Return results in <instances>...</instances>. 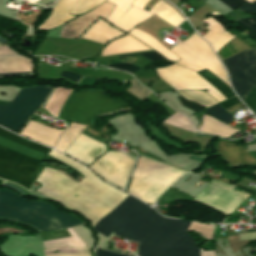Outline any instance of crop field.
Returning <instances> with one entry per match:
<instances>
[{
	"mask_svg": "<svg viewBox=\"0 0 256 256\" xmlns=\"http://www.w3.org/2000/svg\"><path fill=\"white\" fill-rule=\"evenodd\" d=\"M48 155L68 163L86 178L77 184L54 170L44 168L36 179L43 184L38 192L79 210L93 225L127 196L102 183L88 169L58 152L51 150Z\"/></svg>",
	"mask_w": 256,
	"mask_h": 256,
	"instance_id": "2",
	"label": "crop field"
},
{
	"mask_svg": "<svg viewBox=\"0 0 256 256\" xmlns=\"http://www.w3.org/2000/svg\"><path fill=\"white\" fill-rule=\"evenodd\" d=\"M204 22L210 25L207 28L210 32L206 33L203 37L212 45L216 53L223 45L234 38L230 36L225 29L211 17Z\"/></svg>",
	"mask_w": 256,
	"mask_h": 256,
	"instance_id": "19",
	"label": "crop field"
},
{
	"mask_svg": "<svg viewBox=\"0 0 256 256\" xmlns=\"http://www.w3.org/2000/svg\"><path fill=\"white\" fill-rule=\"evenodd\" d=\"M62 132L63 130L48 128L46 126L30 121L21 135L27 136L42 144L54 147L57 138Z\"/></svg>",
	"mask_w": 256,
	"mask_h": 256,
	"instance_id": "15",
	"label": "crop field"
},
{
	"mask_svg": "<svg viewBox=\"0 0 256 256\" xmlns=\"http://www.w3.org/2000/svg\"><path fill=\"white\" fill-rule=\"evenodd\" d=\"M217 152L225 158L230 165L255 164L256 161L241 146L236 147L231 141H219Z\"/></svg>",
	"mask_w": 256,
	"mask_h": 256,
	"instance_id": "14",
	"label": "crop field"
},
{
	"mask_svg": "<svg viewBox=\"0 0 256 256\" xmlns=\"http://www.w3.org/2000/svg\"><path fill=\"white\" fill-rule=\"evenodd\" d=\"M184 172L140 157L128 193L152 203Z\"/></svg>",
	"mask_w": 256,
	"mask_h": 256,
	"instance_id": "6",
	"label": "crop field"
},
{
	"mask_svg": "<svg viewBox=\"0 0 256 256\" xmlns=\"http://www.w3.org/2000/svg\"><path fill=\"white\" fill-rule=\"evenodd\" d=\"M221 2H223L225 5H227L228 7H230L231 9L235 10L237 8H239L241 5H243L244 3H246L247 1L253 3L256 0H220Z\"/></svg>",
	"mask_w": 256,
	"mask_h": 256,
	"instance_id": "34",
	"label": "crop field"
},
{
	"mask_svg": "<svg viewBox=\"0 0 256 256\" xmlns=\"http://www.w3.org/2000/svg\"><path fill=\"white\" fill-rule=\"evenodd\" d=\"M31 73V72H28ZM14 74H27V73H14ZM7 75H13V74H0V76H7Z\"/></svg>",
	"mask_w": 256,
	"mask_h": 256,
	"instance_id": "42",
	"label": "crop field"
},
{
	"mask_svg": "<svg viewBox=\"0 0 256 256\" xmlns=\"http://www.w3.org/2000/svg\"><path fill=\"white\" fill-rule=\"evenodd\" d=\"M213 229H214L213 225H206V224L192 222L188 230L198 232L204 235L207 239H211Z\"/></svg>",
	"mask_w": 256,
	"mask_h": 256,
	"instance_id": "31",
	"label": "crop field"
},
{
	"mask_svg": "<svg viewBox=\"0 0 256 256\" xmlns=\"http://www.w3.org/2000/svg\"><path fill=\"white\" fill-rule=\"evenodd\" d=\"M33 71L32 60L26 57H0V73Z\"/></svg>",
	"mask_w": 256,
	"mask_h": 256,
	"instance_id": "20",
	"label": "crop field"
},
{
	"mask_svg": "<svg viewBox=\"0 0 256 256\" xmlns=\"http://www.w3.org/2000/svg\"><path fill=\"white\" fill-rule=\"evenodd\" d=\"M151 50L144 44L127 35L111 42L103 51L101 56L114 55L125 52Z\"/></svg>",
	"mask_w": 256,
	"mask_h": 256,
	"instance_id": "18",
	"label": "crop field"
},
{
	"mask_svg": "<svg viewBox=\"0 0 256 256\" xmlns=\"http://www.w3.org/2000/svg\"><path fill=\"white\" fill-rule=\"evenodd\" d=\"M84 128L85 126L72 123L58 140L56 149L63 153Z\"/></svg>",
	"mask_w": 256,
	"mask_h": 256,
	"instance_id": "24",
	"label": "crop field"
},
{
	"mask_svg": "<svg viewBox=\"0 0 256 256\" xmlns=\"http://www.w3.org/2000/svg\"><path fill=\"white\" fill-rule=\"evenodd\" d=\"M202 119L203 122L199 129L201 132L212 133L226 138H228L231 134L239 132L205 114L203 115Z\"/></svg>",
	"mask_w": 256,
	"mask_h": 256,
	"instance_id": "21",
	"label": "crop field"
},
{
	"mask_svg": "<svg viewBox=\"0 0 256 256\" xmlns=\"http://www.w3.org/2000/svg\"><path fill=\"white\" fill-rule=\"evenodd\" d=\"M236 22L242 24L243 26L252 30L256 34V18L250 17V18L238 20Z\"/></svg>",
	"mask_w": 256,
	"mask_h": 256,
	"instance_id": "35",
	"label": "crop field"
},
{
	"mask_svg": "<svg viewBox=\"0 0 256 256\" xmlns=\"http://www.w3.org/2000/svg\"><path fill=\"white\" fill-rule=\"evenodd\" d=\"M201 77H203L205 80L209 81L212 86H214L216 89H218L223 96L228 99L234 94L232 91L228 88L226 84H224L220 79L215 77L212 73H210L207 69L197 72Z\"/></svg>",
	"mask_w": 256,
	"mask_h": 256,
	"instance_id": "25",
	"label": "crop field"
},
{
	"mask_svg": "<svg viewBox=\"0 0 256 256\" xmlns=\"http://www.w3.org/2000/svg\"><path fill=\"white\" fill-rule=\"evenodd\" d=\"M52 251H58V254H52ZM44 256H90L85 247L79 248H55L44 250Z\"/></svg>",
	"mask_w": 256,
	"mask_h": 256,
	"instance_id": "27",
	"label": "crop field"
},
{
	"mask_svg": "<svg viewBox=\"0 0 256 256\" xmlns=\"http://www.w3.org/2000/svg\"><path fill=\"white\" fill-rule=\"evenodd\" d=\"M135 0H108L117 5L113 13L106 18L109 22L128 32L136 24L144 21L153 14L142 10L134 5Z\"/></svg>",
	"mask_w": 256,
	"mask_h": 256,
	"instance_id": "11",
	"label": "crop field"
},
{
	"mask_svg": "<svg viewBox=\"0 0 256 256\" xmlns=\"http://www.w3.org/2000/svg\"><path fill=\"white\" fill-rule=\"evenodd\" d=\"M50 149L0 128V178L29 189Z\"/></svg>",
	"mask_w": 256,
	"mask_h": 256,
	"instance_id": "3",
	"label": "crop field"
},
{
	"mask_svg": "<svg viewBox=\"0 0 256 256\" xmlns=\"http://www.w3.org/2000/svg\"><path fill=\"white\" fill-rule=\"evenodd\" d=\"M244 103L249 107V109L255 113L256 111V89H252L250 94L245 99Z\"/></svg>",
	"mask_w": 256,
	"mask_h": 256,
	"instance_id": "33",
	"label": "crop field"
},
{
	"mask_svg": "<svg viewBox=\"0 0 256 256\" xmlns=\"http://www.w3.org/2000/svg\"><path fill=\"white\" fill-rule=\"evenodd\" d=\"M96 256H126V255L115 253V252H111V251H106V250H102V249L97 248Z\"/></svg>",
	"mask_w": 256,
	"mask_h": 256,
	"instance_id": "37",
	"label": "crop field"
},
{
	"mask_svg": "<svg viewBox=\"0 0 256 256\" xmlns=\"http://www.w3.org/2000/svg\"><path fill=\"white\" fill-rule=\"evenodd\" d=\"M150 0H136L134 2V5L140 7V8H144V6L149 2Z\"/></svg>",
	"mask_w": 256,
	"mask_h": 256,
	"instance_id": "41",
	"label": "crop field"
},
{
	"mask_svg": "<svg viewBox=\"0 0 256 256\" xmlns=\"http://www.w3.org/2000/svg\"><path fill=\"white\" fill-rule=\"evenodd\" d=\"M147 59L151 60L152 62L157 61V60H166L162 55H160L157 52H144V53H138ZM132 55H137V54H132ZM132 55H125V56H132Z\"/></svg>",
	"mask_w": 256,
	"mask_h": 256,
	"instance_id": "36",
	"label": "crop field"
},
{
	"mask_svg": "<svg viewBox=\"0 0 256 256\" xmlns=\"http://www.w3.org/2000/svg\"><path fill=\"white\" fill-rule=\"evenodd\" d=\"M165 123L183 128V129L193 132V133L195 132V129L189 123V121L186 119V117H184L183 115L178 114V113H176L175 115L170 117L167 121H165Z\"/></svg>",
	"mask_w": 256,
	"mask_h": 256,
	"instance_id": "28",
	"label": "crop field"
},
{
	"mask_svg": "<svg viewBox=\"0 0 256 256\" xmlns=\"http://www.w3.org/2000/svg\"><path fill=\"white\" fill-rule=\"evenodd\" d=\"M0 55H16L6 46H0Z\"/></svg>",
	"mask_w": 256,
	"mask_h": 256,
	"instance_id": "40",
	"label": "crop field"
},
{
	"mask_svg": "<svg viewBox=\"0 0 256 256\" xmlns=\"http://www.w3.org/2000/svg\"><path fill=\"white\" fill-rule=\"evenodd\" d=\"M130 34L138 38L139 40L143 41L156 51H158L160 54H162L164 57H166L168 60L171 61H177L180 58H178L176 55H174L172 52H170L168 49H166L164 46H162L159 42H157L152 36L146 34L145 32L137 29H133Z\"/></svg>",
	"mask_w": 256,
	"mask_h": 256,
	"instance_id": "22",
	"label": "crop field"
},
{
	"mask_svg": "<svg viewBox=\"0 0 256 256\" xmlns=\"http://www.w3.org/2000/svg\"><path fill=\"white\" fill-rule=\"evenodd\" d=\"M113 7L114 5L104 2L93 11L64 24L61 37L78 38L99 16L105 19L112 11Z\"/></svg>",
	"mask_w": 256,
	"mask_h": 256,
	"instance_id": "12",
	"label": "crop field"
},
{
	"mask_svg": "<svg viewBox=\"0 0 256 256\" xmlns=\"http://www.w3.org/2000/svg\"><path fill=\"white\" fill-rule=\"evenodd\" d=\"M70 91V89L57 88L52 97L50 98L47 106L45 105L46 110L51 115L57 117L58 112L62 107L63 103L65 102L66 98L68 97Z\"/></svg>",
	"mask_w": 256,
	"mask_h": 256,
	"instance_id": "23",
	"label": "crop field"
},
{
	"mask_svg": "<svg viewBox=\"0 0 256 256\" xmlns=\"http://www.w3.org/2000/svg\"><path fill=\"white\" fill-rule=\"evenodd\" d=\"M132 164L124 153L108 151L90 168L103 179L123 189Z\"/></svg>",
	"mask_w": 256,
	"mask_h": 256,
	"instance_id": "9",
	"label": "crop field"
},
{
	"mask_svg": "<svg viewBox=\"0 0 256 256\" xmlns=\"http://www.w3.org/2000/svg\"><path fill=\"white\" fill-rule=\"evenodd\" d=\"M157 73L160 78L167 81L176 90L201 89L213 96L219 102L225 100V98L208 82L192 71L172 65L164 69H157Z\"/></svg>",
	"mask_w": 256,
	"mask_h": 256,
	"instance_id": "10",
	"label": "crop field"
},
{
	"mask_svg": "<svg viewBox=\"0 0 256 256\" xmlns=\"http://www.w3.org/2000/svg\"><path fill=\"white\" fill-rule=\"evenodd\" d=\"M105 0H79L76 6L73 8L71 14H81L86 12Z\"/></svg>",
	"mask_w": 256,
	"mask_h": 256,
	"instance_id": "29",
	"label": "crop field"
},
{
	"mask_svg": "<svg viewBox=\"0 0 256 256\" xmlns=\"http://www.w3.org/2000/svg\"><path fill=\"white\" fill-rule=\"evenodd\" d=\"M70 216L51 205L24 201L9 191L0 190V219L23 222L40 231H52L81 224Z\"/></svg>",
	"mask_w": 256,
	"mask_h": 256,
	"instance_id": "4",
	"label": "crop field"
},
{
	"mask_svg": "<svg viewBox=\"0 0 256 256\" xmlns=\"http://www.w3.org/2000/svg\"><path fill=\"white\" fill-rule=\"evenodd\" d=\"M60 76L64 77V78H67V79H70V80H73V81H76V82H78L82 78V76H79V75L71 73V72H62Z\"/></svg>",
	"mask_w": 256,
	"mask_h": 256,
	"instance_id": "38",
	"label": "crop field"
},
{
	"mask_svg": "<svg viewBox=\"0 0 256 256\" xmlns=\"http://www.w3.org/2000/svg\"><path fill=\"white\" fill-rule=\"evenodd\" d=\"M94 141L80 134L64 153L80 160L84 164L89 165L97 156L105 151V147L103 145Z\"/></svg>",
	"mask_w": 256,
	"mask_h": 256,
	"instance_id": "13",
	"label": "crop field"
},
{
	"mask_svg": "<svg viewBox=\"0 0 256 256\" xmlns=\"http://www.w3.org/2000/svg\"><path fill=\"white\" fill-rule=\"evenodd\" d=\"M78 0H60L53 8V15L39 27V30H51L65 21L75 17L69 16Z\"/></svg>",
	"mask_w": 256,
	"mask_h": 256,
	"instance_id": "16",
	"label": "crop field"
},
{
	"mask_svg": "<svg viewBox=\"0 0 256 256\" xmlns=\"http://www.w3.org/2000/svg\"><path fill=\"white\" fill-rule=\"evenodd\" d=\"M181 95L187 99L194 101L204 107H210L218 102L212 99L210 96L201 91H185L180 92Z\"/></svg>",
	"mask_w": 256,
	"mask_h": 256,
	"instance_id": "26",
	"label": "crop field"
},
{
	"mask_svg": "<svg viewBox=\"0 0 256 256\" xmlns=\"http://www.w3.org/2000/svg\"><path fill=\"white\" fill-rule=\"evenodd\" d=\"M52 88L36 86L20 89L8 105H0V125L17 133L22 124L41 105Z\"/></svg>",
	"mask_w": 256,
	"mask_h": 256,
	"instance_id": "7",
	"label": "crop field"
},
{
	"mask_svg": "<svg viewBox=\"0 0 256 256\" xmlns=\"http://www.w3.org/2000/svg\"><path fill=\"white\" fill-rule=\"evenodd\" d=\"M121 34L124 33L100 19L93 26H91L80 38L89 39L100 43H107L109 40Z\"/></svg>",
	"mask_w": 256,
	"mask_h": 256,
	"instance_id": "17",
	"label": "crop field"
},
{
	"mask_svg": "<svg viewBox=\"0 0 256 256\" xmlns=\"http://www.w3.org/2000/svg\"><path fill=\"white\" fill-rule=\"evenodd\" d=\"M222 62L230 75L234 90L244 101L250 90L256 87V50L251 47Z\"/></svg>",
	"mask_w": 256,
	"mask_h": 256,
	"instance_id": "8",
	"label": "crop field"
},
{
	"mask_svg": "<svg viewBox=\"0 0 256 256\" xmlns=\"http://www.w3.org/2000/svg\"><path fill=\"white\" fill-rule=\"evenodd\" d=\"M108 67L125 70L132 74L139 69V67L129 64V63H113V64L108 65Z\"/></svg>",
	"mask_w": 256,
	"mask_h": 256,
	"instance_id": "32",
	"label": "crop field"
},
{
	"mask_svg": "<svg viewBox=\"0 0 256 256\" xmlns=\"http://www.w3.org/2000/svg\"><path fill=\"white\" fill-rule=\"evenodd\" d=\"M189 224L190 221L163 218L128 195L94 229L106 237L114 231L140 242L138 256H200V249L186 232ZM201 254L214 256V252L203 250Z\"/></svg>",
	"mask_w": 256,
	"mask_h": 256,
	"instance_id": "1",
	"label": "crop field"
},
{
	"mask_svg": "<svg viewBox=\"0 0 256 256\" xmlns=\"http://www.w3.org/2000/svg\"><path fill=\"white\" fill-rule=\"evenodd\" d=\"M209 114L215 116L218 118L220 121L224 123H229L232 121L231 119L233 118L229 113H227L219 104L209 108L206 110Z\"/></svg>",
	"mask_w": 256,
	"mask_h": 256,
	"instance_id": "30",
	"label": "crop field"
},
{
	"mask_svg": "<svg viewBox=\"0 0 256 256\" xmlns=\"http://www.w3.org/2000/svg\"><path fill=\"white\" fill-rule=\"evenodd\" d=\"M239 10H242V11H255L256 12V2L253 3V4L247 2L245 5H243L241 8H239Z\"/></svg>",
	"mask_w": 256,
	"mask_h": 256,
	"instance_id": "39",
	"label": "crop field"
},
{
	"mask_svg": "<svg viewBox=\"0 0 256 256\" xmlns=\"http://www.w3.org/2000/svg\"><path fill=\"white\" fill-rule=\"evenodd\" d=\"M130 110L121 100L109 98L104 90L86 89L72 91L62 109V118L86 125H92L97 116Z\"/></svg>",
	"mask_w": 256,
	"mask_h": 256,
	"instance_id": "5",
	"label": "crop field"
}]
</instances>
